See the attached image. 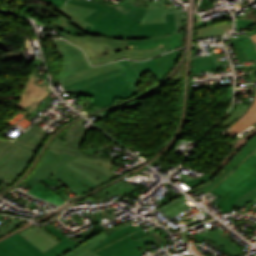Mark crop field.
<instances>
[{
	"label": "crop field",
	"mask_w": 256,
	"mask_h": 256,
	"mask_svg": "<svg viewBox=\"0 0 256 256\" xmlns=\"http://www.w3.org/2000/svg\"><path fill=\"white\" fill-rule=\"evenodd\" d=\"M44 1L54 3L57 5V7L61 8V6L65 3L66 0H44Z\"/></svg>",
	"instance_id": "crop-field-50"
},
{
	"label": "crop field",
	"mask_w": 256,
	"mask_h": 256,
	"mask_svg": "<svg viewBox=\"0 0 256 256\" xmlns=\"http://www.w3.org/2000/svg\"><path fill=\"white\" fill-rule=\"evenodd\" d=\"M254 155H256V150L254 151V153H253Z\"/></svg>",
	"instance_id": "crop-field-59"
},
{
	"label": "crop field",
	"mask_w": 256,
	"mask_h": 256,
	"mask_svg": "<svg viewBox=\"0 0 256 256\" xmlns=\"http://www.w3.org/2000/svg\"><path fill=\"white\" fill-rule=\"evenodd\" d=\"M22 222H23L22 220H17V221H15V222H13V223H10V224H8V225H6V226H4V227H1V228H0V231L3 232V233H5V232H7L8 230H10V229L14 228L15 226L19 225V224L22 223Z\"/></svg>",
	"instance_id": "crop-field-46"
},
{
	"label": "crop field",
	"mask_w": 256,
	"mask_h": 256,
	"mask_svg": "<svg viewBox=\"0 0 256 256\" xmlns=\"http://www.w3.org/2000/svg\"><path fill=\"white\" fill-rule=\"evenodd\" d=\"M55 23L57 24L58 29L61 31L77 36L86 35L77 28H75L72 24H70V21L67 18L63 17L62 15L58 17Z\"/></svg>",
	"instance_id": "crop-field-33"
},
{
	"label": "crop field",
	"mask_w": 256,
	"mask_h": 256,
	"mask_svg": "<svg viewBox=\"0 0 256 256\" xmlns=\"http://www.w3.org/2000/svg\"><path fill=\"white\" fill-rule=\"evenodd\" d=\"M256 44V43H255Z\"/></svg>",
	"instance_id": "crop-field-60"
},
{
	"label": "crop field",
	"mask_w": 256,
	"mask_h": 256,
	"mask_svg": "<svg viewBox=\"0 0 256 256\" xmlns=\"http://www.w3.org/2000/svg\"><path fill=\"white\" fill-rule=\"evenodd\" d=\"M212 176L213 175H211L210 173H207L206 175H203V176H201L200 178H198V179H196L194 181H189V182H185V183H187L190 187L193 188V187H195V186H197V185H199V184L209 180Z\"/></svg>",
	"instance_id": "crop-field-41"
},
{
	"label": "crop field",
	"mask_w": 256,
	"mask_h": 256,
	"mask_svg": "<svg viewBox=\"0 0 256 256\" xmlns=\"http://www.w3.org/2000/svg\"><path fill=\"white\" fill-rule=\"evenodd\" d=\"M177 11L176 7L164 9H148L144 18L139 24L160 23L164 22V13Z\"/></svg>",
	"instance_id": "crop-field-31"
},
{
	"label": "crop field",
	"mask_w": 256,
	"mask_h": 256,
	"mask_svg": "<svg viewBox=\"0 0 256 256\" xmlns=\"http://www.w3.org/2000/svg\"><path fill=\"white\" fill-rule=\"evenodd\" d=\"M245 38H247V37L246 36H241V37L231 41L233 46H234V48H235V50H236V53H237V55L239 57V61L240 62H244V61H247V60H246V58H245V56H244V54H243L242 50L240 49V47H239L237 42H239V41H241V40H243Z\"/></svg>",
	"instance_id": "crop-field-39"
},
{
	"label": "crop field",
	"mask_w": 256,
	"mask_h": 256,
	"mask_svg": "<svg viewBox=\"0 0 256 256\" xmlns=\"http://www.w3.org/2000/svg\"><path fill=\"white\" fill-rule=\"evenodd\" d=\"M224 180H226V181H228V182H230L231 184H233V185H238L241 181H239V180H236V179H233V178H231V177H226Z\"/></svg>",
	"instance_id": "crop-field-51"
},
{
	"label": "crop field",
	"mask_w": 256,
	"mask_h": 256,
	"mask_svg": "<svg viewBox=\"0 0 256 256\" xmlns=\"http://www.w3.org/2000/svg\"><path fill=\"white\" fill-rule=\"evenodd\" d=\"M54 10L69 18L71 23L80 30L87 24L92 26L83 19L95 11L94 9L66 3L61 9L55 7Z\"/></svg>",
	"instance_id": "crop-field-17"
},
{
	"label": "crop field",
	"mask_w": 256,
	"mask_h": 256,
	"mask_svg": "<svg viewBox=\"0 0 256 256\" xmlns=\"http://www.w3.org/2000/svg\"><path fill=\"white\" fill-rule=\"evenodd\" d=\"M256 149V135L249 140L245 146L218 172L211 180L213 184L203 188L201 191L207 193L217 184H219L232 170L235 169L243 160Z\"/></svg>",
	"instance_id": "crop-field-14"
},
{
	"label": "crop field",
	"mask_w": 256,
	"mask_h": 256,
	"mask_svg": "<svg viewBox=\"0 0 256 256\" xmlns=\"http://www.w3.org/2000/svg\"><path fill=\"white\" fill-rule=\"evenodd\" d=\"M118 231H120L132 238H135V239H138L140 237L147 235L139 226L135 228V227L129 225V226H127L123 229H120Z\"/></svg>",
	"instance_id": "crop-field-36"
},
{
	"label": "crop field",
	"mask_w": 256,
	"mask_h": 256,
	"mask_svg": "<svg viewBox=\"0 0 256 256\" xmlns=\"http://www.w3.org/2000/svg\"><path fill=\"white\" fill-rule=\"evenodd\" d=\"M254 34H256V30H255V31H252V32H250V33H247V34H245V35L251 36V35H254Z\"/></svg>",
	"instance_id": "crop-field-56"
},
{
	"label": "crop field",
	"mask_w": 256,
	"mask_h": 256,
	"mask_svg": "<svg viewBox=\"0 0 256 256\" xmlns=\"http://www.w3.org/2000/svg\"><path fill=\"white\" fill-rule=\"evenodd\" d=\"M232 173L245 179L252 173L256 175V169L243 162Z\"/></svg>",
	"instance_id": "crop-field-35"
},
{
	"label": "crop field",
	"mask_w": 256,
	"mask_h": 256,
	"mask_svg": "<svg viewBox=\"0 0 256 256\" xmlns=\"http://www.w3.org/2000/svg\"><path fill=\"white\" fill-rule=\"evenodd\" d=\"M207 229V227L205 226ZM208 230V229H207ZM216 231V230H215ZM208 230L209 237L219 246H222L229 254L232 256H237L243 252H241L237 246L228 241L226 238L218 234L217 232Z\"/></svg>",
	"instance_id": "crop-field-30"
},
{
	"label": "crop field",
	"mask_w": 256,
	"mask_h": 256,
	"mask_svg": "<svg viewBox=\"0 0 256 256\" xmlns=\"http://www.w3.org/2000/svg\"><path fill=\"white\" fill-rule=\"evenodd\" d=\"M60 36L73 44L80 46L85 53L106 50L111 52H120L127 49L126 40L108 39L105 37L80 36L76 37L64 32L59 33Z\"/></svg>",
	"instance_id": "crop-field-7"
},
{
	"label": "crop field",
	"mask_w": 256,
	"mask_h": 256,
	"mask_svg": "<svg viewBox=\"0 0 256 256\" xmlns=\"http://www.w3.org/2000/svg\"><path fill=\"white\" fill-rule=\"evenodd\" d=\"M251 38L254 40V42H256V35L251 36Z\"/></svg>",
	"instance_id": "crop-field-58"
},
{
	"label": "crop field",
	"mask_w": 256,
	"mask_h": 256,
	"mask_svg": "<svg viewBox=\"0 0 256 256\" xmlns=\"http://www.w3.org/2000/svg\"><path fill=\"white\" fill-rule=\"evenodd\" d=\"M14 237H16L18 240H20L22 243H24L27 247H29L31 250H33L35 253H37L38 255L43 253L41 252L39 249H37L36 247H34L33 245H31L25 238H23L22 236H20L18 233L13 235Z\"/></svg>",
	"instance_id": "crop-field-43"
},
{
	"label": "crop field",
	"mask_w": 256,
	"mask_h": 256,
	"mask_svg": "<svg viewBox=\"0 0 256 256\" xmlns=\"http://www.w3.org/2000/svg\"><path fill=\"white\" fill-rule=\"evenodd\" d=\"M254 204H256V201L251 203L243 212H247Z\"/></svg>",
	"instance_id": "crop-field-54"
},
{
	"label": "crop field",
	"mask_w": 256,
	"mask_h": 256,
	"mask_svg": "<svg viewBox=\"0 0 256 256\" xmlns=\"http://www.w3.org/2000/svg\"><path fill=\"white\" fill-rule=\"evenodd\" d=\"M232 29V21H225L220 24L212 25L210 27L198 29L196 38H204L211 36H223L227 30Z\"/></svg>",
	"instance_id": "crop-field-27"
},
{
	"label": "crop field",
	"mask_w": 256,
	"mask_h": 256,
	"mask_svg": "<svg viewBox=\"0 0 256 256\" xmlns=\"http://www.w3.org/2000/svg\"><path fill=\"white\" fill-rule=\"evenodd\" d=\"M236 24H237V28L236 31L241 30L243 28L249 27L253 24H255L256 22L250 21V20H245V19H236Z\"/></svg>",
	"instance_id": "crop-field-42"
},
{
	"label": "crop field",
	"mask_w": 256,
	"mask_h": 256,
	"mask_svg": "<svg viewBox=\"0 0 256 256\" xmlns=\"http://www.w3.org/2000/svg\"><path fill=\"white\" fill-rule=\"evenodd\" d=\"M135 252H136V254H137L138 256H141V254H140V252H139L138 248H137V249H135Z\"/></svg>",
	"instance_id": "crop-field-57"
},
{
	"label": "crop field",
	"mask_w": 256,
	"mask_h": 256,
	"mask_svg": "<svg viewBox=\"0 0 256 256\" xmlns=\"http://www.w3.org/2000/svg\"><path fill=\"white\" fill-rule=\"evenodd\" d=\"M180 50L163 54L154 59L143 61V62H133L138 74L141 76L144 72L150 70L155 77L160 81L163 79L169 70L174 65L175 61L179 56Z\"/></svg>",
	"instance_id": "crop-field-10"
},
{
	"label": "crop field",
	"mask_w": 256,
	"mask_h": 256,
	"mask_svg": "<svg viewBox=\"0 0 256 256\" xmlns=\"http://www.w3.org/2000/svg\"><path fill=\"white\" fill-rule=\"evenodd\" d=\"M174 16H175L177 32H181L182 13L181 12L174 13Z\"/></svg>",
	"instance_id": "crop-field-45"
},
{
	"label": "crop field",
	"mask_w": 256,
	"mask_h": 256,
	"mask_svg": "<svg viewBox=\"0 0 256 256\" xmlns=\"http://www.w3.org/2000/svg\"><path fill=\"white\" fill-rule=\"evenodd\" d=\"M19 146H16L15 149L11 152L12 154H15V155H18V156H21L23 157L24 154L29 151L31 153H35L36 150L34 149H31V148H28L26 146H23V145H20L18 144ZM23 153V154H22Z\"/></svg>",
	"instance_id": "crop-field-40"
},
{
	"label": "crop field",
	"mask_w": 256,
	"mask_h": 256,
	"mask_svg": "<svg viewBox=\"0 0 256 256\" xmlns=\"http://www.w3.org/2000/svg\"><path fill=\"white\" fill-rule=\"evenodd\" d=\"M11 141H7L4 139H0V168L8 161V159L12 156L9 154L13 148L17 145Z\"/></svg>",
	"instance_id": "crop-field-32"
},
{
	"label": "crop field",
	"mask_w": 256,
	"mask_h": 256,
	"mask_svg": "<svg viewBox=\"0 0 256 256\" xmlns=\"http://www.w3.org/2000/svg\"><path fill=\"white\" fill-rule=\"evenodd\" d=\"M181 237L183 238L184 242H189L186 236H190L187 231L180 233Z\"/></svg>",
	"instance_id": "crop-field-52"
},
{
	"label": "crop field",
	"mask_w": 256,
	"mask_h": 256,
	"mask_svg": "<svg viewBox=\"0 0 256 256\" xmlns=\"http://www.w3.org/2000/svg\"><path fill=\"white\" fill-rule=\"evenodd\" d=\"M118 64L123 72V75L133 93V95L137 94L136 86L135 84L140 83L141 80L133 67L131 61L129 60H120L118 61Z\"/></svg>",
	"instance_id": "crop-field-22"
},
{
	"label": "crop field",
	"mask_w": 256,
	"mask_h": 256,
	"mask_svg": "<svg viewBox=\"0 0 256 256\" xmlns=\"http://www.w3.org/2000/svg\"><path fill=\"white\" fill-rule=\"evenodd\" d=\"M72 250L62 241L39 256H61ZM0 256H38L13 236L0 242Z\"/></svg>",
	"instance_id": "crop-field-8"
},
{
	"label": "crop field",
	"mask_w": 256,
	"mask_h": 256,
	"mask_svg": "<svg viewBox=\"0 0 256 256\" xmlns=\"http://www.w3.org/2000/svg\"><path fill=\"white\" fill-rule=\"evenodd\" d=\"M138 189L136 186L130 184L127 181H120L115 184H112L104 189H102L103 192H105L109 197L114 194H119L120 196H125L126 194Z\"/></svg>",
	"instance_id": "crop-field-29"
},
{
	"label": "crop field",
	"mask_w": 256,
	"mask_h": 256,
	"mask_svg": "<svg viewBox=\"0 0 256 256\" xmlns=\"http://www.w3.org/2000/svg\"><path fill=\"white\" fill-rule=\"evenodd\" d=\"M181 33L171 34L165 37L144 39V40H127L128 49H149L159 46L162 53L179 48L181 45Z\"/></svg>",
	"instance_id": "crop-field-13"
},
{
	"label": "crop field",
	"mask_w": 256,
	"mask_h": 256,
	"mask_svg": "<svg viewBox=\"0 0 256 256\" xmlns=\"http://www.w3.org/2000/svg\"><path fill=\"white\" fill-rule=\"evenodd\" d=\"M256 122V98L250 110L231 127L232 131L227 134L236 135Z\"/></svg>",
	"instance_id": "crop-field-25"
},
{
	"label": "crop field",
	"mask_w": 256,
	"mask_h": 256,
	"mask_svg": "<svg viewBox=\"0 0 256 256\" xmlns=\"http://www.w3.org/2000/svg\"><path fill=\"white\" fill-rule=\"evenodd\" d=\"M140 246L139 241L116 231L91 251L100 256H137L133 249Z\"/></svg>",
	"instance_id": "crop-field-6"
},
{
	"label": "crop field",
	"mask_w": 256,
	"mask_h": 256,
	"mask_svg": "<svg viewBox=\"0 0 256 256\" xmlns=\"http://www.w3.org/2000/svg\"><path fill=\"white\" fill-rule=\"evenodd\" d=\"M60 169H62L63 171H65L66 173H68L69 175L74 177L77 181H79L87 189L91 190L96 187L90 181H88L85 177L81 176L80 174L76 173L75 171H73L65 166Z\"/></svg>",
	"instance_id": "crop-field-34"
},
{
	"label": "crop field",
	"mask_w": 256,
	"mask_h": 256,
	"mask_svg": "<svg viewBox=\"0 0 256 256\" xmlns=\"http://www.w3.org/2000/svg\"><path fill=\"white\" fill-rule=\"evenodd\" d=\"M48 150H51L60 155L61 152L69 153L76 158L73 161L84 164L86 166L95 168L110 177H115L116 173L112 172L114 159L106 157H93L80 152V149H76L62 140L57 139L53 142Z\"/></svg>",
	"instance_id": "crop-field-5"
},
{
	"label": "crop field",
	"mask_w": 256,
	"mask_h": 256,
	"mask_svg": "<svg viewBox=\"0 0 256 256\" xmlns=\"http://www.w3.org/2000/svg\"><path fill=\"white\" fill-rule=\"evenodd\" d=\"M121 70L117 63L100 67L86 74L78 76L74 79L62 83V87L67 91L76 89V91L91 85L99 80L107 79L115 75L121 74Z\"/></svg>",
	"instance_id": "crop-field-9"
},
{
	"label": "crop field",
	"mask_w": 256,
	"mask_h": 256,
	"mask_svg": "<svg viewBox=\"0 0 256 256\" xmlns=\"http://www.w3.org/2000/svg\"><path fill=\"white\" fill-rule=\"evenodd\" d=\"M220 188L224 189L228 193L225 194L222 199L216 204L221 208L222 213L231 211V204L238 199L241 195H243L248 190L252 189L256 186V176L250 175L246 178L242 183L238 186H233L226 181H222L219 185Z\"/></svg>",
	"instance_id": "crop-field-12"
},
{
	"label": "crop field",
	"mask_w": 256,
	"mask_h": 256,
	"mask_svg": "<svg viewBox=\"0 0 256 256\" xmlns=\"http://www.w3.org/2000/svg\"><path fill=\"white\" fill-rule=\"evenodd\" d=\"M74 157L61 153L60 156L48 151L43 162L35 171L34 175L28 178L24 183L30 185L31 187L35 185L38 181L45 178L47 175L54 174L55 177L62 182H64L67 187L76 195L79 196L89 190L78 183L74 178L60 170L59 168L67 164Z\"/></svg>",
	"instance_id": "crop-field-2"
},
{
	"label": "crop field",
	"mask_w": 256,
	"mask_h": 256,
	"mask_svg": "<svg viewBox=\"0 0 256 256\" xmlns=\"http://www.w3.org/2000/svg\"><path fill=\"white\" fill-rule=\"evenodd\" d=\"M256 200V187L250 191H248L246 194H244L242 197H240L237 201L233 203L231 207L234 206H240L244 205L250 201Z\"/></svg>",
	"instance_id": "crop-field-37"
},
{
	"label": "crop field",
	"mask_w": 256,
	"mask_h": 256,
	"mask_svg": "<svg viewBox=\"0 0 256 256\" xmlns=\"http://www.w3.org/2000/svg\"><path fill=\"white\" fill-rule=\"evenodd\" d=\"M152 234H153V236L155 237V239L157 240L159 246H162V243H161V242H164L165 240L162 238V236L159 234V232L156 231V232H154V233H152ZM156 240H155V241H156Z\"/></svg>",
	"instance_id": "crop-field-49"
},
{
	"label": "crop field",
	"mask_w": 256,
	"mask_h": 256,
	"mask_svg": "<svg viewBox=\"0 0 256 256\" xmlns=\"http://www.w3.org/2000/svg\"><path fill=\"white\" fill-rule=\"evenodd\" d=\"M245 18H246V19H251V20L256 21V15H252V16L245 17Z\"/></svg>",
	"instance_id": "crop-field-55"
},
{
	"label": "crop field",
	"mask_w": 256,
	"mask_h": 256,
	"mask_svg": "<svg viewBox=\"0 0 256 256\" xmlns=\"http://www.w3.org/2000/svg\"><path fill=\"white\" fill-rule=\"evenodd\" d=\"M77 94L93 97L90 103L101 108L113 104L115 98L128 99L133 96L122 74L88 86Z\"/></svg>",
	"instance_id": "crop-field-3"
},
{
	"label": "crop field",
	"mask_w": 256,
	"mask_h": 256,
	"mask_svg": "<svg viewBox=\"0 0 256 256\" xmlns=\"http://www.w3.org/2000/svg\"><path fill=\"white\" fill-rule=\"evenodd\" d=\"M221 17H222V15H221ZM224 17V16H223ZM218 18V17H215L214 19L215 20H212V21H209V23H207V24H205V23H203L202 25H200L199 27H197V28H201V27H205V26H209V25H212V24H215V23H220V22H222V21H225L224 20V18Z\"/></svg>",
	"instance_id": "crop-field-47"
},
{
	"label": "crop field",
	"mask_w": 256,
	"mask_h": 256,
	"mask_svg": "<svg viewBox=\"0 0 256 256\" xmlns=\"http://www.w3.org/2000/svg\"><path fill=\"white\" fill-rule=\"evenodd\" d=\"M35 125L24 134L20 135L17 139H15L14 142L26 145L37 150L43 139L50 133Z\"/></svg>",
	"instance_id": "crop-field-19"
},
{
	"label": "crop field",
	"mask_w": 256,
	"mask_h": 256,
	"mask_svg": "<svg viewBox=\"0 0 256 256\" xmlns=\"http://www.w3.org/2000/svg\"><path fill=\"white\" fill-rule=\"evenodd\" d=\"M49 232H51L52 234H54L55 236H57L59 239H61L63 242H65L69 247H71L72 249L79 246L77 243H75L73 240L71 241L70 239H68L65 235H63L61 232H59L54 226H49L47 228ZM64 243V244H65Z\"/></svg>",
	"instance_id": "crop-field-38"
},
{
	"label": "crop field",
	"mask_w": 256,
	"mask_h": 256,
	"mask_svg": "<svg viewBox=\"0 0 256 256\" xmlns=\"http://www.w3.org/2000/svg\"><path fill=\"white\" fill-rule=\"evenodd\" d=\"M36 76L31 75L22 94L17 107L32 112L42 99L51 91L49 84L39 85L35 83Z\"/></svg>",
	"instance_id": "crop-field-11"
},
{
	"label": "crop field",
	"mask_w": 256,
	"mask_h": 256,
	"mask_svg": "<svg viewBox=\"0 0 256 256\" xmlns=\"http://www.w3.org/2000/svg\"><path fill=\"white\" fill-rule=\"evenodd\" d=\"M41 182V181H40ZM43 183H45L47 186H49L51 189H53L55 192H57L59 195H61L66 200L70 199L67 197L63 191H61L59 188H57L55 185H53L50 181H48L46 178L42 180ZM28 193L42 198L44 200L50 201L52 203L61 205L64 203L60 198H58L53 192H51L49 189L44 187L42 184L37 183L31 190L28 191Z\"/></svg>",
	"instance_id": "crop-field-18"
},
{
	"label": "crop field",
	"mask_w": 256,
	"mask_h": 256,
	"mask_svg": "<svg viewBox=\"0 0 256 256\" xmlns=\"http://www.w3.org/2000/svg\"><path fill=\"white\" fill-rule=\"evenodd\" d=\"M33 155L29 152L23 158L13 155L0 169V179L8 184L14 182L25 171Z\"/></svg>",
	"instance_id": "crop-field-15"
},
{
	"label": "crop field",
	"mask_w": 256,
	"mask_h": 256,
	"mask_svg": "<svg viewBox=\"0 0 256 256\" xmlns=\"http://www.w3.org/2000/svg\"><path fill=\"white\" fill-rule=\"evenodd\" d=\"M53 45L63 60V71L56 78L58 84L103 66H90L83 52L64 40H53Z\"/></svg>",
	"instance_id": "crop-field-4"
},
{
	"label": "crop field",
	"mask_w": 256,
	"mask_h": 256,
	"mask_svg": "<svg viewBox=\"0 0 256 256\" xmlns=\"http://www.w3.org/2000/svg\"><path fill=\"white\" fill-rule=\"evenodd\" d=\"M107 236L108 235L101 233L63 256H98L89 250L92 249L96 244L100 243Z\"/></svg>",
	"instance_id": "crop-field-24"
},
{
	"label": "crop field",
	"mask_w": 256,
	"mask_h": 256,
	"mask_svg": "<svg viewBox=\"0 0 256 256\" xmlns=\"http://www.w3.org/2000/svg\"><path fill=\"white\" fill-rule=\"evenodd\" d=\"M77 124V123H76ZM83 125L80 123L79 125H75L71 128H69L68 133L65 137L66 143L76 147L80 148L83 138L86 134L84 131L86 128H84Z\"/></svg>",
	"instance_id": "crop-field-28"
},
{
	"label": "crop field",
	"mask_w": 256,
	"mask_h": 256,
	"mask_svg": "<svg viewBox=\"0 0 256 256\" xmlns=\"http://www.w3.org/2000/svg\"><path fill=\"white\" fill-rule=\"evenodd\" d=\"M209 4H211V3L208 0H203L202 4H201L202 9H204L203 7H205V6L209 5ZM211 5L214 6L213 4H211Z\"/></svg>",
	"instance_id": "crop-field-53"
},
{
	"label": "crop field",
	"mask_w": 256,
	"mask_h": 256,
	"mask_svg": "<svg viewBox=\"0 0 256 256\" xmlns=\"http://www.w3.org/2000/svg\"><path fill=\"white\" fill-rule=\"evenodd\" d=\"M133 0H125L116 7L89 1L69 0V3L97 9L85 20L94 24L81 31L87 35L106 36L115 39L154 38L175 33L173 13L166 14V23L138 25L147 9L126 5Z\"/></svg>",
	"instance_id": "crop-field-1"
},
{
	"label": "crop field",
	"mask_w": 256,
	"mask_h": 256,
	"mask_svg": "<svg viewBox=\"0 0 256 256\" xmlns=\"http://www.w3.org/2000/svg\"><path fill=\"white\" fill-rule=\"evenodd\" d=\"M38 232H40L42 235H44L45 237H47L49 240H51L53 243H58L59 240L57 237H55L54 235H52L51 233H49L47 230L45 229H36Z\"/></svg>",
	"instance_id": "crop-field-44"
},
{
	"label": "crop field",
	"mask_w": 256,
	"mask_h": 256,
	"mask_svg": "<svg viewBox=\"0 0 256 256\" xmlns=\"http://www.w3.org/2000/svg\"><path fill=\"white\" fill-rule=\"evenodd\" d=\"M246 163L250 164L251 166L255 167L256 168V156L254 155H250L248 156L245 161Z\"/></svg>",
	"instance_id": "crop-field-48"
},
{
	"label": "crop field",
	"mask_w": 256,
	"mask_h": 256,
	"mask_svg": "<svg viewBox=\"0 0 256 256\" xmlns=\"http://www.w3.org/2000/svg\"><path fill=\"white\" fill-rule=\"evenodd\" d=\"M20 235L25 237L31 244H33L43 252L54 245L51 241L38 233L34 228H29L20 232Z\"/></svg>",
	"instance_id": "crop-field-23"
},
{
	"label": "crop field",
	"mask_w": 256,
	"mask_h": 256,
	"mask_svg": "<svg viewBox=\"0 0 256 256\" xmlns=\"http://www.w3.org/2000/svg\"><path fill=\"white\" fill-rule=\"evenodd\" d=\"M252 126H254L255 128L231 143V151L223 159V161L210 173L215 175L218 171H220L225 166V164L244 146V144L256 134V123Z\"/></svg>",
	"instance_id": "crop-field-21"
},
{
	"label": "crop field",
	"mask_w": 256,
	"mask_h": 256,
	"mask_svg": "<svg viewBox=\"0 0 256 256\" xmlns=\"http://www.w3.org/2000/svg\"><path fill=\"white\" fill-rule=\"evenodd\" d=\"M161 54L159 47L149 49V50H125L120 53L112 54V55H102L94 58L88 59L92 65H97L101 63H105L108 61L120 59V58H132L135 60L148 59L153 56Z\"/></svg>",
	"instance_id": "crop-field-16"
},
{
	"label": "crop field",
	"mask_w": 256,
	"mask_h": 256,
	"mask_svg": "<svg viewBox=\"0 0 256 256\" xmlns=\"http://www.w3.org/2000/svg\"><path fill=\"white\" fill-rule=\"evenodd\" d=\"M218 69L217 64L214 60L213 55L204 56L197 59L192 60L190 73H199L204 71L216 70Z\"/></svg>",
	"instance_id": "crop-field-26"
},
{
	"label": "crop field",
	"mask_w": 256,
	"mask_h": 256,
	"mask_svg": "<svg viewBox=\"0 0 256 256\" xmlns=\"http://www.w3.org/2000/svg\"><path fill=\"white\" fill-rule=\"evenodd\" d=\"M65 166H67V167L75 170L76 172L80 173L81 175L85 176L88 180H90L96 186L112 179L97 170H94L92 168L86 167L84 165L78 164L73 161L69 162Z\"/></svg>",
	"instance_id": "crop-field-20"
}]
</instances>
